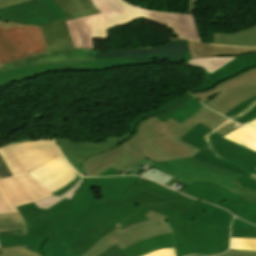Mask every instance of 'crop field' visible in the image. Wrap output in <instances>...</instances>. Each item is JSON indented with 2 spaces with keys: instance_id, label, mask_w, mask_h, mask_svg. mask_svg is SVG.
<instances>
[{
  "instance_id": "obj_1",
  "label": "crop field",
  "mask_w": 256,
  "mask_h": 256,
  "mask_svg": "<svg viewBox=\"0 0 256 256\" xmlns=\"http://www.w3.org/2000/svg\"><path fill=\"white\" fill-rule=\"evenodd\" d=\"M198 123L192 118L180 124L171 118L164 122L149 117L138 123L136 133L125 142L156 163L151 167L174 176L166 186L177 179L188 184L211 181L233 192L239 187L232 183L239 174L191 158L200 150L179 140Z\"/></svg>"
},
{
  "instance_id": "obj_2",
  "label": "crop field",
  "mask_w": 256,
  "mask_h": 256,
  "mask_svg": "<svg viewBox=\"0 0 256 256\" xmlns=\"http://www.w3.org/2000/svg\"><path fill=\"white\" fill-rule=\"evenodd\" d=\"M137 179V176L84 178L64 214L51 223V234L41 248L42 255L78 256L67 249L121 208L101 204L97 199L124 200Z\"/></svg>"
},
{
  "instance_id": "obj_3",
  "label": "crop field",
  "mask_w": 256,
  "mask_h": 256,
  "mask_svg": "<svg viewBox=\"0 0 256 256\" xmlns=\"http://www.w3.org/2000/svg\"><path fill=\"white\" fill-rule=\"evenodd\" d=\"M92 1L100 14L67 21L75 48H93L92 38L107 39L108 29L144 17L167 25L181 37L201 41L193 15L149 11L124 0Z\"/></svg>"
},
{
  "instance_id": "obj_4",
  "label": "crop field",
  "mask_w": 256,
  "mask_h": 256,
  "mask_svg": "<svg viewBox=\"0 0 256 256\" xmlns=\"http://www.w3.org/2000/svg\"><path fill=\"white\" fill-rule=\"evenodd\" d=\"M232 218L221 208L199 202L177 219L167 216L165 221L175 232L178 256L214 255L226 251L229 246Z\"/></svg>"
},
{
  "instance_id": "obj_5",
  "label": "crop field",
  "mask_w": 256,
  "mask_h": 256,
  "mask_svg": "<svg viewBox=\"0 0 256 256\" xmlns=\"http://www.w3.org/2000/svg\"><path fill=\"white\" fill-rule=\"evenodd\" d=\"M221 137L199 123L180 140L202 150L193 158L241 174L234 183L255 190L256 152Z\"/></svg>"
},
{
  "instance_id": "obj_6",
  "label": "crop field",
  "mask_w": 256,
  "mask_h": 256,
  "mask_svg": "<svg viewBox=\"0 0 256 256\" xmlns=\"http://www.w3.org/2000/svg\"><path fill=\"white\" fill-rule=\"evenodd\" d=\"M69 201L64 199L47 210L38 209L34 203L18 206L27 226V234L26 236L0 235L1 248L26 245V248L41 254L40 248L50 233V223L60 217Z\"/></svg>"
},
{
  "instance_id": "obj_7",
  "label": "crop field",
  "mask_w": 256,
  "mask_h": 256,
  "mask_svg": "<svg viewBox=\"0 0 256 256\" xmlns=\"http://www.w3.org/2000/svg\"><path fill=\"white\" fill-rule=\"evenodd\" d=\"M125 201L174 218L199 202L141 177H139Z\"/></svg>"
},
{
  "instance_id": "obj_8",
  "label": "crop field",
  "mask_w": 256,
  "mask_h": 256,
  "mask_svg": "<svg viewBox=\"0 0 256 256\" xmlns=\"http://www.w3.org/2000/svg\"><path fill=\"white\" fill-rule=\"evenodd\" d=\"M193 95L209 108L222 113L256 95V68L225 80L215 88Z\"/></svg>"
},
{
  "instance_id": "obj_9",
  "label": "crop field",
  "mask_w": 256,
  "mask_h": 256,
  "mask_svg": "<svg viewBox=\"0 0 256 256\" xmlns=\"http://www.w3.org/2000/svg\"><path fill=\"white\" fill-rule=\"evenodd\" d=\"M145 215L149 219L148 221L136 223L122 230L117 227L102 239H100L83 256H98L107 248L116 243L120 249L123 250L138 241L161 234L173 233L170 225L166 222H163L166 219V216L157 214L152 211Z\"/></svg>"
},
{
  "instance_id": "obj_10",
  "label": "crop field",
  "mask_w": 256,
  "mask_h": 256,
  "mask_svg": "<svg viewBox=\"0 0 256 256\" xmlns=\"http://www.w3.org/2000/svg\"><path fill=\"white\" fill-rule=\"evenodd\" d=\"M6 166L12 175L31 171L61 155L54 140L24 142L0 148Z\"/></svg>"
},
{
  "instance_id": "obj_11",
  "label": "crop field",
  "mask_w": 256,
  "mask_h": 256,
  "mask_svg": "<svg viewBox=\"0 0 256 256\" xmlns=\"http://www.w3.org/2000/svg\"><path fill=\"white\" fill-rule=\"evenodd\" d=\"M46 51L48 50L39 27H0V66Z\"/></svg>"
},
{
  "instance_id": "obj_12",
  "label": "crop field",
  "mask_w": 256,
  "mask_h": 256,
  "mask_svg": "<svg viewBox=\"0 0 256 256\" xmlns=\"http://www.w3.org/2000/svg\"><path fill=\"white\" fill-rule=\"evenodd\" d=\"M52 194L28 172L0 180V214L18 212L16 206L43 200Z\"/></svg>"
},
{
  "instance_id": "obj_13",
  "label": "crop field",
  "mask_w": 256,
  "mask_h": 256,
  "mask_svg": "<svg viewBox=\"0 0 256 256\" xmlns=\"http://www.w3.org/2000/svg\"><path fill=\"white\" fill-rule=\"evenodd\" d=\"M101 203L116 205L123 207L114 213L108 219L96 226L90 233L80 239L68 250L82 256L89 248H91L101 237L113 230L115 227L121 229L134 224L136 222L147 220L144 215L149 210L137 207L125 201L116 200H99Z\"/></svg>"
},
{
  "instance_id": "obj_14",
  "label": "crop field",
  "mask_w": 256,
  "mask_h": 256,
  "mask_svg": "<svg viewBox=\"0 0 256 256\" xmlns=\"http://www.w3.org/2000/svg\"><path fill=\"white\" fill-rule=\"evenodd\" d=\"M183 193L226 208L241 219L256 225V204L246 201L218 185L210 182H192Z\"/></svg>"
},
{
  "instance_id": "obj_15",
  "label": "crop field",
  "mask_w": 256,
  "mask_h": 256,
  "mask_svg": "<svg viewBox=\"0 0 256 256\" xmlns=\"http://www.w3.org/2000/svg\"><path fill=\"white\" fill-rule=\"evenodd\" d=\"M67 18L53 24L41 26V31L48 50L74 48L65 21L78 17L97 14L98 11L91 0H55Z\"/></svg>"
},
{
  "instance_id": "obj_16",
  "label": "crop field",
  "mask_w": 256,
  "mask_h": 256,
  "mask_svg": "<svg viewBox=\"0 0 256 256\" xmlns=\"http://www.w3.org/2000/svg\"><path fill=\"white\" fill-rule=\"evenodd\" d=\"M132 135L133 134L129 133L119 137H107L105 142L100 143H72L69 138L56 139V141L67 161L79 174L84 175L80 163L84 161L86 157L109 150L124 142Z\"/></svg>"
},
{
  "instance_id": "obj_17",
  "label": "crop field",
  "mask_w": 256,
  "mask_h": 256,
  "mask_svg": "<svg viewBox=\"0 0 256 256\" xmlns=\"http://www.w3.org/2000/svg\"><path fill=\"white\" fill-rule=\"evenodd\" d=\"M29 173L51 193L72 182L78 175L62 155Z\"/></svg>"
},
{
  "instance_id": "obj_18",
  "label": "crop field",
  "mask_w": 256,
  "mask_h": 256,
  "mask_svg": "<svg viewBox=\"0 0 256 256\" xmlns=\"http://www.w3.org/2000/svg\"><path fill=\"white\" fill-rule=\"evenodd\" d=\"M95 64L94 60L75 61L58 64L47 65H31L26 67L7 69L0 71V87L11 84L13 82L44 74L52 71L64 70H86V65Z\"/></svg>"
},
{
  "instance_id": "obj_19",
  "label": "crop field",
  "mask_w": 256,
  "mask_h": 256,
  "mask_svg": "<svg viewBox=\"0 0 256 256\" xmlns=\"http://www.w3.org/2000/svg\"><path fill=\"white\" fill-rule=\"evenodd\" d=\"M0 19L35 26L53 21L39 0L0 9Z\"/></svg>"
},
{
  "instance_id": "obj_20",
  "label": "crop field",
  "mask_w": 256,
  "mask_h": 256,
  "mask_svg": "<svg viewBox=\"0 0 256 256\" xmlns=\"http://www.w3.org/2000/svg\"><path fill=\"white\" fill-rule=\"evenodd\" d=\"M253 67H256V53L237 57L212 74L206 72L207 76L203 82L198 87L190 90V92L208 90L213 88L217 83Z\"/></svg>"
},
{
  "instance_id": "obj_21",
  "label": "crop field",
  "mask_w": 256,
  "mask_h": 256,
  "mask_svg": "<svg viewBox=\"0 0 256 256\" xmlns=\"http://www.w3.org/2000/svg\"><path fill=\"white\" fill-rule=\"evenodd\" d=\"M132 155L134 154L130 150L120 144L116 148L107 152L88 157L84 162H82L81 166L85 176H98L118 162Z\"/></svg>"
},
{
  "instance_id": "obj_22",
  "label": "crop field",
  "mask_w": 256,
  "mask_h": 256,
  "mask_svg": "<svg viewBox=\"0 0 256 256\" xmlns=\"http://www.w3.org/2000/svg\"><path fill=\"white\" fill-rule=\"evenodd\" d=\"M190 117L194 118L195 120L204 124L208 128L219 133L220 135L227 134L240 126L218 115L217 113L207 109L205 106Z\"/></svg>"
},
{
  "instance_id": "obj_23",
  "label": "crop field",
  "mask_w": 256,
  "mask_h": 256,
  "mask_svg": "<svg viewBox=\"0 0 256 256\" xmlns=\"http://www.w3.org/2000/svg\"><path fill=\"white\" fill-rule=\"evenodd\" d=\"M170 247H175L174 234L147 239L123 250V252L126 256H141L151 251Z\"/></svg>"
},
{
  "instance_id": "obj_24",
  "label": "crop field",
  "mask_w": 256,
  "mask_h": 256,
  "mask_svg": "<svg viewBox=\"0 0 256 256\" xmlns=\"http://www.w3.org/2000/svg\"><path fill=\"white\" fill-rule=\"evenodd\" d=\"M213 44L256 46V25L232 34L214 33Z\"/></svg>"
},
{
  "instance_id": "obj_25",
  "label": "crop field",
  "mask_w": 256,
  "mask_h": 256,
  "mask_svg": "<svg viewBox=\"0 0 256 256\" xmlns=\"http://www.w3.org/2000/svg\"><path fill=\"white\" fill-rule=\"evenodd\" d=\"M66 51L69 52V54H70V56H71L73 61H75V60L94 59L91 49L56 50V51H51V52H47V53H43V54L31 56V57L22 58L20 60L11 62L9 64H6V65L2 66L0 69H7V68L26 66V65H28V61H30V60H34V59H38V58H42V57H45V56H49V55H53V54H57V53H61V52H66Z\"/></svg>"
},
{
  "instance_id": "obj_26",
  "label": "crop field",
  "mask_w": 256,
  "mask_h": 256,
  "mask_svg": "<svg viewBox=\"0 0 256 256\" xmlns=\"http://www.w3.org/2000/svg\"><path fill=\"white\" fill-rule=\"evenodd\" d=\"M202 106H204V105L197 102L190 95V97L187 100L180 103L179 105H177L175 108H173L169 112H167L163 115H158V117L164 121L171 117L181 123L184 120H186L187 118H189L190 115H192L194 112H196Z\"/></svg>"
},
{
  "instance_id": "obj_27",
  "label": "crop field",
  "mask_w": 256,
  "mask_h": 256,
  "mask_svg": "<svg viewBox=\"0 0 256 256\" xmlns=\"http://www.w3.org/2000/svg\"><path fill=\"white\" fill-rule=\"evenodd\" d=\"M225 116H228L236 120L240 124H246L247 122L255 119L256 96L242 102L240 105H238L237 107L229 111L227 114H225Z\"/></svg>"
},
{
  "instance_id": "obj_28",
  "label": "crop field",
  "mask_w": 256,
  "mask_h": 256,
  "mask_svg": "<svg viewBox=\"0 0 256 256\" xmlns=\"http://www.w3.org/2000/svg\"><path fill=\"white\" fill-rule=\"evenodd\" d=\"M223 138L256 151V129L249 125H243Z\"/></svg>"
},
{
  "instance_id": "obj_29",
  "label": "crop field",
  "mask_w": 256,
  "mask_h": 256,
  "mask_svg": "<svg viewBox=\"0 0 256 256\" xmlns=\"http://www.w3.org/2000/svg\"><path fill=\"white\" fill-rule=\"evenodd\" d=\"M95 62H96V65L87 66V70L104 71V70L113 69V68H117V67H123V66L157 63V61L129 62L128 58L95 60Z\"/></svg>"
},
{
  "instance_id": "obj_30",
  "label": "crop field",
  "mask_w": 256,
  "mask_h": 256,
  "mask_svg": "<svg viewBox=\"0 0 256 256\" xmlns=\"http://www.w3.org/2000/svg\"><path fill=\"white\" fill-rule=\"evenodd\" d=\"M235 58L236 57L196 58V59H192V61H190L186 65H193L196 67H200L211 73Z\"/></svg>"
},
{
  "instance_id": "obj_31",
  "label": "crop field",
  "mask_w": 256,
  "mask_h": 256,
  "mask_svg": "<svg viewBox=\"0 0 256 256\" xmlns=\"http://www.w3.org/2000/svg\"><path fill=\"white\" fill-rule=\"evenodd\" d=\"M189 93H185L181 96H179L178 98H176L175 100H173L172 102H170L169 104L159 108V109H156V110H153L151 112H148V113H145L143 115H140L138 116L137 118H135L134 120H132L129 125H128V132L130 133H134L135 132V128H136V125L139 121L149 117V116H154V115H158V114H162V113H165L167 111H169L170 109H172L174 106H176L178 103L182 102L183 100H185L187 97H189Z\"/></svg>"
},
{
  "instance_id": "obj_32",
  "label": "crop field",
  "mask_w": 256,
  "mask_h": 256,
  "mask_svg": "<svg viewBox=\"0 0 256 256\" xmlns=\"http://www.w3.org/2000/svg\"><path fill=\"white\" fill-rule=\"evenodd\" d=\"M176 39L186 40L180 37L172 38L168 40H176ZM168 40H165V41H168ZM188 43H189V52L191 54V58L211 57V50L213 45L203 44V43L189 41V40H188Z\"/></svg>"
},
{
  "instance_id": "obj_33",
  "label": "crop field",
  "mask_w": 256,
  "mask_h": 256,
  "mask_svg": "<svg viewBox=\"0 0 256 256\" xmlns=\"http://www.w3.org/2000/svg\"><path fill=\"white\" fill-rule=\"evenodd\" d=\"M254 52H256V48H233L214 45L212 56H240Z\"/></svg>"
},
{
  "instance_id": "obj_34",
  "label": "crop field",
  "mask_w": 256,
  "mask_h": 256,
  "mask_svg": "<svg viewBox=\"0 0 256 256\" xmlns=\"http://www.w3.org/2000/svg\"><path fill=\"white\" fill-rule=\"evenodd\" d=\"M82 181H83V177L79 180V182L72 189H70L69 191H67L66 193L62 194L59 197L53 196L47 200L35 202V204L37 205L38 208L47 209V208L51 207L53 204H55L56 202H58L64 198L71 199L72 195L75 193L74 191H76L79 188Z\"/></svg>"
},
{
  "instance_id": "obj_35",
  "label": "crop field",
  "mask_w": 256,
  "mask_h": 256,
  "mask_svg": "<svg viewBox=\"0 0 256 256\" xmlns=\"http://www.w3.org/2000/svg\"><path fill=\"white\" fill-rule=\"evenodd\" d=\"M25 227L24 221L19 213L0 215V229Z\"/></svg>"
},
{
  "instance_id": "obj_36",
  "label": "crop field",
  "mask_w": 256,
  "mask_h": 256,
  "mask_svg": "<svg viewBox=\"0 0 256 256\" xmlns=\"http://www.w3.org/2000/svg\"><path fill=\"white\" fill-rule=\"evenodd\" d=\"M230 249L256 251V239H234V238H231Z\"/></svg>"
},
{
  "instance_id": "obj_37",
  "label": "crop field",
  "mask_w": 256,
  "mask_h": 256,
  "mask_svg": "<svg viewBox=\"0 0 256 256\" xmlns=\"http://www.w3.org/2000/svg\"><path fill=\"white\" fill-rule=\"evenodd\" d=\"M66 61H72L68 52L53 55V56H49V57L34 60V61H30L29 65H31V64L58 63V62H66Z\"/></svg>"
},
{
  "instance_id": "obj_38",
  "label": "crop field",
  "mask_w": 256,
  "mask_h": 256,
  "mask_svg": "<svg viewBox=\"0 0 256 256\" xmlns=\"http://www.w3.org/2000/svg\"><path fill=\"white\" fill-rule=\"evenodd\" d=\"M6 256H41L22 246L0 249Z\"/></svg>"
},
{
  "instance_id": "obj_39",
  "label": "crop field",
  "mask_w": 256,
  "mask_h": 256,
  "mask_svg": "<svg viewBox=\"0 0 256 256\" xmlns=\"http://www.w3.org/2000/svg\"><path fill=\"white\" fill-rule=\"evenodd\" d=\"M41 1L44 3L46 8L52 14L55 21L65 17V15L61 11L60 7L58 6V4L54 0H41Z\"/></svg>"
},
{
  "instance_id": "obj_40",
  "label": "crop field",
  "mask_w": 256,
  "mask_h": 256,
  "mask_svg": "<svg viewBox=\"0 0 256 256\" xmlns=\"http://www.w3.org/2000/svg\"><path fill=\"white\" fill-rule=\"evenodd\" d=\"M234 193L246 200L256 203V191L240 186Z\"/></svg>"
},
{
  "instance_id": "obj_41",
  "label": "crop field",
  "mask_w": 256,
  "mask_h": 256,
  "mask_svg": "<svg viewBox=\"0 0 256 256\" xmlns=\"http://www.w3.org/2000/svg\"><path fill=\"white\" fill-rule=\"evenodd\" d=\"M231 237H234V238H256V231L231 229Z\"/></svg>"
},
{
  "instance_id": "obj_42",
  "label": "crop field",
  "mask_w": 256,
  "mask_h": 256,
  "mask_svg": "<svg viewBox=\"0 0 256 256\" xmlns=\"http://www.w3.org/2000/svg\"><path fill=\"white\" fill-rule=\"evenodd\" d=\"M100 256H125L123 252L119 249L116 245L112 246L111 248L107 249L103 252Z\"/></svg>"
},
{
  "instance_id": "obj_43",
  "label": "crop field",
  "mask_w": 256,
  "mask_h": 256,
  "mask_svg": "<svg viewBox=\"0 0 256 256\" xmlns=\"http://www.w3.org/2000/svg\"><path fill=\"white\" fill-rule=\"evenodd\" d=\"M144 256H175L174 248L163 249L155 252L148 253Z\"/></svg>"
},
{
  "instance_id": "obj_44",
  "label": "crop field",
  "mask_w": 256,
  "mask_h": 256,
  "mask_svg": "<svg viewBox=\"0 0 256 256\" xmlns=\"http://www.w3.org/2000/svg\"><path fill=\"white\" fill-rule=\"evenodd\" d=\"M231 228H241V229H252L256 230V227L249 225L239 219H234L232 222V227Z\"/></svg>"
},
{
  "instance_id": "obj_45",
  "label": "crop field",
  "mask_w": 256,
  "mask_h": 256,
  "mask_svg": "<svg viewBox=\"0 0 256 256\" xmlns=\"http://www.w3.org/2000/svg\"><path fill=\"white\" fill-rule=\"evenodd\" d=\"M227 256H256V252L228 250Z\"/></svg>"
},
{
  "instance_id": "obj_46",
  "label": "crop field",
  "mask_w": 256,
  "mask_h": 256,
  "mask_svg": "<svg viewBox=\"0 0 256 256\" xmlns=\"http://www.w3.org/2000/svg\"><path fill=\"white\" fill-rule=\"evenodd\" d=\"M26 228H16V229H4L0 230V234H20L25 235Z\"/></svg>"
},
{
  "instance_id": "obj_47",
  "label": "crop field",
  "mask_w": 256,
  "mask_h": 256,
  "mask_svg": "<svg viewBox=\"0 0 256 256\" xmlns=\"http://www.w3.org/2000/svg\"><path fill=\"white\" fill-rule=\"evenodd\" d=\"M80 177H81V176L78 175V176L74 179V181H73L72 183H70L69 185L63 187L61 190H59V191L53 193V195L59 196V195H61L62 193L66 192L67 190H69L70 188H72V187L78 182V180L80 179Z\"/></svg>"
},
{
  "instance_id": "obj_48",
  "label": "crop field",
  "mask_w": 256,
  "mask_h": 256,
  "mask_svg": "<svg viewBox=\"0 0 256 256\" xmlns=\"http://www.w3.org/2000/svg\"><path fill=\"white\" fill-rule=\"evenodd\" d=\"M26 1H29V0H0V8L26 2Z\"/></svg>"
},
{
  "instance_id": "obj_49",
  "label": "crop field",
  "mask_w": 256,
  "mask_h": 256,
  "mask_svg": "<svg viewBox=\"0 0 256 256\" xmlns=\"http://www.w3.org/2000/svg\"><path fill=\"white\" fill-rule=\"evenodd\" d=\"M9 176H11V174L9 173V171L7 170L3 161L0 158V179L5 178V177H9Z\"/></svg>"
},
{
  "instance_id": "obj_50",
  "label": "crop field",
  "mask_w": 256,
  "mask_h": 256,
  "mask_svg": "<svg viewBox=\"0 0 256 256\" xmlns=\"http://www.w3.org/2000/svg\"><path fill=\"white\" fill-rule=\"evenodd\" d=\"M120 173H118L117 171H115L114 169H109L106 172L102 173L100 176H113V175H119Z\"/></svg>"
},
{
  "instance_id": "obj_51",
  "label": "crop field",
  "mask_w": 256,
  "mask_h": 256,
  "mask_svg": "<svg viewBox=\"0 0 256 256\" xmlns=\"http://www.w3.org/2000/svg\"><path fill=\"white\" fill-rule=\"evenodd\" d=\"M195 1L196 0H189V7H188L186 13L193 14L194 6H195Z\"/></svg>"
},
{
  "instance_id": "obj_52",
  "label": "crop field",
  "mask_w": 256,
  "mask_h": 256,
  "mask_svg": "<svg viewBox=\"0 0 256 256\" xmlns=\"http://www.w3.org/2000/svg\"><path fill=\"white\" fill-rule=\"evenodd\" d=\"M16 25H20V24H14V23H10V22H8V21H2V20H0V26H2V27H9V26H16Z\"/></svg>"
},
{
  "instance_id": "obj_53",
  "label": "crop field",
  "mask_w": 256,
  "mask_h": 256,
  "mask_svg": "<svg viewBox=\"0 0 256 256\" xmlns=\"http://www.w3.org/2000/svg\"><path fill=\"white\" fill-rule=\"evenodd\" d=\"M249 124L253 125L254 127H256V120L250 122Z\"/></svg>"
},
{
  "instance_id": "obj_54",
  "label": "crop field",
  "mask_w": 256,
  "mask_h": 256,
  "mask_svg": "<svg viewBox=\"0 0 256 256\" xmlns=\"http://www.w3.org/2000/svg\"><path fill=\"white\" fill-rule=\"evenodd\" d=\"M226 253H227V252H225V253H222V254H220V255H217V256H225V255H226Z\"/></svg>"
},
{
  "instance_id": "obj_55",
  "label": "crop field",
  "mask_w": 256,
  "mask_h": 256,
  "mask_svg": "<svg viewBox=\"0 0 256 256\" xmlns=\"http://www.w3.org/2000/svg\"><path fill=\"white\" fill-rule=\"evenodd\" d=\"M0 256H5L4 254H1Z\"/></svg>"
},
{
  "instance_id": "obj_56",
  "label": "crop field",
  "mask_w": 256,
  "mask_h": 256,
  "mask_svg": "<svg viewBox=\"0 0 256 256\" xmlns=\"http://www.w3.org/2000/svg\"><path fill=\"white\" fill-rule=\"evenodd\" d=\"M0 254H1V252H0Z\"/></svg>"
}]
</instances>
